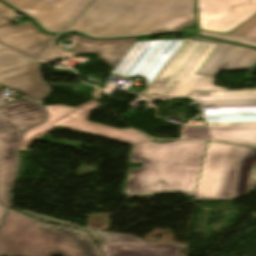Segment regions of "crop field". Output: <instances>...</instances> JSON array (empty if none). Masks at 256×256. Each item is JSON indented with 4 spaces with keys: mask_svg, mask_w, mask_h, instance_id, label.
<instances>
[{
    "mask_svg": "<svg viewBox=\"0 0 256 256\" xmlns=\"http://www.w3.org/2000/svg\"><path fill=\"white\" fill-rule=\"evenodd\" d=\"M206 142L179 140L157 144L147 140L134 145L131 162L143 166L130 171L127 194L183 192L193 196Z\"/></svg>",
    "mask_w": 256,
    "mask_h": 256,
    "instance_id": "crop-field-1",
    "label": "crop field"
},
{
    "mask_svg": "<svg viewBox=\"0 0 256 256\" xmlns=\"http://www.w3.org/2000/svg\"><path fill=\"white\" fill-rule=\"evenodd\" d=\"M146 20L194 22V0H96L69 29L89 34L127 32Z\"/></svg>",
    "mask_w": 256,
    "mask_h": 256,
    "instance_id": "crop-field-2",
    "label": "crop field"
},
{
    "mask_svg": "<svg viewBox=\"0 0 256 256\" xmlns=\"http://www.w3.org/2000/svg\"><path fill=\"white\" fill-rule=\"evenodd\" d=\"M192 98L207 126L186 128L184 137L256 146V89L197 92Z\"/></svg>",
    "mask_w": 256,
    "mask_h": 256,
    "instance_id": "crop-field-3",
    "label": "crop field"
},
{
    "mask_svg": "<svg viewBox=\"0 0 256 256\" xmlns=\"http://www.w3.org/2000/svg\"><path fill=\"white\" fill-rule=\"evenodd\" d=\"M255 188V148L208 143L193 200L238 199Z\"/></svg>",
    "mask_w": 256,
    "mask_h": 256,
    "instance_id": "crop-field-4",
    "label": "crop field"
},
{
    "mask_svg": "<svg viewBox=\"0 0 256 256\" xmlns=\"http://www.w3.org/2000/svg\"><path fill=\"white\" fill-rule=\"evenodd\" d=\"M214 46L186 41L143 97L155 100L189 96L194 91L227 90L214 86L216 78L195 74Z\"/></svg>",
    "mask_w": 256,
    "mask_h": 256,
    "instance_id": "crop-field-5",
    "label": "crop field"
},
{
    "mask_svg": "<svg viewBox=\"0 0 256 256\" xmlns=\"http://www.w3.org/2000/svg\"><path fill=\"white\" fill-rule=\"evenodd\" d=\"M38 222L11 210L0 235V256H86L68 237Z\"/></svg>",
    "mask_w": 256,
    "mask_h": 256,
    "instance_id": "crop-field-6",
    "label": "crop field"
},
{
    "mask_svg": "<svg viewBox=\"0 0 256 256\" xmlns=\"http://www.w3.org/2000/svg\"><path fill=\"white\" fill-rule=\"evenodd\" d=\"M184 40L154 39L135 41L111 72L121 77L140 76L149 86Z\"/></svg>",
    "mask_w": 256,
    "mask_h": 256,
    "instance_id": "crop-field-7",
    "label": "crop field"
},
{
    "mask_svg": "<svg viewBox=\"0 0 256 256\" xmlns=\"http://www.w3.org/2000/svg\"><path fill=\"white\" fill-rule=\"evenodd\" d=\"M0 83L33 101L47 92L38 79L37 62L5 46L0 47Z\"/></svg>",
    "mask_w": 256,
    "mask_h": 256,
    "instance_id": "crop-field-8",
    "label": "crop field"
},
{
    "mask_svg": "<svg viewBox=\"0 0 256 256\" xmlns=\"http://www.w3.org/2000/svg\"><path fill=\"white\" fill-rule=\"evenodd\" d=\"M200 29L228 33L256 14V0H198Z\"/></svg>",
    "mask_w": 256,
    "mask_h": 256,
    "instance_id": "crop-field-9",
    "label": "crop field"
},
{
    "mask_svg": "<svg viewBox=\"0 0 256 256\" xmlns=\"http://www.w3.org/2000/svg\"><path fill=\"white\" fill-rule=\"evenodd\" d=\"M29 9L48 29L62 30L91 0H3Z\"/></svg>",
    "mask_w": 256,
    "mask_h": 256,
    "instance_id": "crop-field-10",
    "label": "crop field"
},
{
    "mask_svg": "<svg viewBox=\"0 0 256 256\" xmlns=\"http://www.w3.org/2000/svg\"><path fill=\"white\" fill-rule=\"evenodd\" d=\"M256 62V49L219 41L198 74L217 77L220 71L250 69Z\"/></svg>",
    "mask_w": 256,
    "mask_h": 256,
    "instance_id": "crop-field-11",
    "label": "crop field"
},
{
    "mask_svg": "<svg viewBox=\"0 0 256 256\" xmlns=\"http://www.w3.org/2000/svg\"><path fill=\"white\" fill-rule=\"evenodd\" d=\"M107 244L100 247L105 256H178L181 243L150 244L133 236L97 232Z\"/></svg>",
    "mask_w": 256,
    "mask_h": 256,
    "instance_id": "crop-field-12",
    "label": "crop field"
},
{
    "mask_svg": "<svg viewBox=\"0 0 256 256\" xmlns=\"http://www.w3.org/2000/svg\"><path fill=\"white\" fill-rule=\"evenodd\" d=\"M46 123L130 143L136 144L141 141L147 140V138L140 132L133 129L119 130L95 123H91L85 120L49 112Z\"/></svg>",
    "mask_w": 256,
    "mask_h": 256,
    "instance_id": "crop-field-13",
    "label": "crop field"
},
{
    "mask_svg": "<svg viewBox=\"0 0 256 256\" xmlns=\"http://www.w3.org/2000/svg\"><path fill=\"white\" fill-rule=\"evenodd\" d=\"M44 118L40 105L22 97L0 108V131L30 127Z\"/></svg>",
    "mask_w": 256,
    "mask_h": 256,
    "instance_id": "crop-field-14",
    "label": "crop field"
},
{
    "mask_svg": "<svg viewBox=\"0 0 256 256\" xmlns=\"http://www.w3.org/2000/svg\"><path fill=\"white\" fill-rule=\"evenodd\" d=\"M22 131L0 132V202L8 206V190L16 166L15 151Z\"/></svg>",
    "mask_w": 256,
    "mask_h": 256,
    "instance_id": "crop-field-15",
    "label": "crop field"
},
{
    "mask_svg": "<svg viewBox=\"0 0 256 256\" xmlns=\"http://www.w3.org/2000/svg\"><path fill=\"white\" fill-rule=\"evenodd\" d=\"M55 36L38 33L33 36L8 44L9 46L40 59L50 40Z\"/></svg>",
    "mask_w": 256,
    "mask_h": 256,
    "instance_id": "crop-field-16",
    "label": "crop field"
},
{
    "mask_svg": "<svg viewBox=\"0 0 256 256\" xmlns=\"http://www.w3.org/2000/svg\"><path fill=\"white\" fill-rule=\"evenodd\" d=\"M39 226L58 232L68 237L70 240L76 243L87 256H98L90 251L94 248H97V246L88 235V233L43 222H39Z\"/></svg>",
    "mask_w": 256,
    "mask_h": 256,
    "instance_id": "crop-field-17",
    "label": "crop field"
},
{
    "mask_svg": "<svg viewBox=\"0 0 256 256\" xmlns=\"http://www.w3.org/2000/svg\"><path fill=\"white\" fill-rule=\"evenodd\" d=\"M38 33L28 22L13 26L9 23L0 25V41L8 44L13 41Z\"/></svg>",
    "mask_w": 256,
    "mask_h": 256,
    "instance_id": "crop-field-18",
    "label": "crop field"
},
{
    "mask_svg": "<svg viewBox=\"0 0 256 256\" xmlns=\"http://www.w3.org/2000/svg\"><path fill=\"white\" fill-rule=\"evenodd\" d=\"M132 44L133 42L119 44L113 41L104 46L103 52H100L98 57L114 69Z\"/></svg>",
    "mask_w": 256,
    "mask_h": 256,
    "instance_id": "crop-field-19",
    "label": "crop field"
},
{
    "mask_svg": "<svg viewBox=\"0 0 256 256\" xmlns=\"http://www.w3.org/2000/svg\"><path fill=\"white\" fill-rule=\"evenodd\" d=\"M161 29H171L172 32H179L181 27L179 25L177 26V25L173 24L170 21L165 24L146 21L135 32L97 34V35H89V36H92V37H115V36L134 35V34H150L154 30H161ZM78 31H80V30H78ZM80 32H82V31H80ZM82 33H84V32H82Z\"/></svg>",
    "mask_w": 256,
    "mask_h": 256,
    "instance_id": "crop-field-20",
    "label": "crop field"
},
{
    "mask_svg": "<svg viewBox=\"0 0 256 256\" xmlns=\"http://www.w3.org/2000/svg\"><path fill=\"white\" fill-rule=\"evenodd\" d=\"M101 106L96 101L92 100L84 105H81L77 108H69L63 105L57 106H45L46 110L86 119L88 118L89 111Z\"/></svg>",
    "mask_w": 256,
    "mask_h": 256,
    "instance_id": "crop-field-21",
    "label": "crop field"
},
{
    "mask_svg": "<svg viewBox=\"0 0 256 256\" xmlns=\"http://www.w3.org/2000/svg\"><path fill=\"white\" fill-rule=\"evenodd\" d=\"M134 40H137V38L122 39V40H115V41L119 43H123V42L134 41ZM110 41H96V40H90V39L81 37L73 55L82 54V53H98L99 51H102L103 45Z\"/></svg>",
    "mask_w": 256,
    "mask_h": 256,
    "instance_id": "crop-field-22",
    "label": "crop field"
},
{
    "mask_svg": "<svg viewBox=\"0 0 256 256\" xmlns=\"http://www.w3.org/2000/svg\"><path fill=\"white\" fill-rule=\"evenodd\" d=\"M56 127L57 126L43 123L33 129L28 130L23 137V141H22L20 150L27 149L29 143H31L33 140H35L39 136L45 134L46 132H48Z\"/></svg>",
    "mask_w": 256,
    "mask_h": 256,
    "instance_id": "crop-field-23",
    "label": "crop field"
},
{
    "mask_svg": "<svg viewBox=\"0 0 256 256\" xmlns=\"http://www.w3.org/2000/svg\"><path fill=\"white\" fill-rule=\"evenodd\" d=\"M230 35L256 38V15L228 33Z\"/></svg>",
    "mask_w": 256,
    "mask_h": 256,
    "instance_id": "crop-field-24",
    "label": "crop field"
},
{
    "mask_svg": "<svg viewBox=\"0 0 256 256\" xmlns=\"http://www.w3.org/2000/svg\"><path fill=\"white\" fill-rule=\"evenodd\" d=\"M199 34L225 40V41L236 42V43H241V44L256 47V39H252V38L236 37V36L224 35V34L207 32V31H200Z\"/></svg>",
    "mask_w": 256,
    "mask_h": 256,
    "instance_id": "crop-field-25",
    "label": "crop field"
},
{
    "mask_svg": "<svg viewBox=\"0 0 256 256\" xmlns=\"http://www.w3.org/2000/svg\"><path fill=\"white\" fill-rule=\"evenodd\" d=\"M24 213L26 214H29L33 217H36L40 220H44V221H49V222H54V223H58V224H62V225H66V226H70V227H74V228H78V229H82V230H86V231H89L91 233V235L95 238V240L99 243V245H103L105 243H107L104 239V237L98 235L97 233H95L94 231L90 230V229H86L84 227H81L79 225H76V224H72V223H66V222H60V221H55V220H51V219H47V218H43V217H40V216H37V215H34V214H31V213H28V212H25L23 211Z\"/></svg>",
    "mask_w": 256,
    "mask_h": 256,
    "instance_id": "crop-field-26",
    "label": "crop field"
},
{
    "mask_svg": "<svg viewBox=\"0 0 256 256\" xmlns=\"http://www.w3.org/2000/svg\"><path fill=\"white\" fill-rule=\"evenodd\" d=\"M60 51L58 45H51L46 57L45 61H55L61 59Z\"/></svg>",
    "mask_w": 256,
    "mask_h": 256,
    "instance_id": "crop-field-27",
    "label": "crop field"
},
{
    "mask_svg": "<svg viewBox=\"0 0 256 256\" xmlns=\"http://www.w3.org/2000/svg\"><path fill=\"white\" fill-rule=\"evenodd\" d=\"M18 17L17 14H14L2 7H0V24L6 23L7 20Z\"/></svg>",
    "mask_w": 256,
    "mask_h": 256,
    "instance_id": "crop-field-28",
    "label": "crop field"
},
{
    "mask_svg": "<svg viewBox=\"0 0 256 256\" xmlns=\"http://www.w3.org/2000/svg\"><path fill=\"white\" fill-rule=\"evenodd\" d=\"M19 11L25 13L26 15H28L30 18H32L36 23H38L42 28H44L47 32H51V33H57L59 31H54V30H47V28L29 11L26 9H19Z\"/></svg>",
    "mask_w": 256,
    "mask_h": 256,
    "instance_id": "crop-field-29",
    "label": "crop field"
},
{
    "mask_svg": "<svg viewBox=\"0 0 256 256\" xmlns=\"http://www.w3.org/2000/svg\"><path fill=\"white\" fill-rule=\"evenodd\" d=\"M5 209H6L5 207L0 205V222H1V219H2V216L4 214Z\"/></svg>",
    "mask_w": 256,
    "mask_h": 256,
    "instance_id": "crop-field-30",
    "label": "crop field"
},
{
    "mask_svg": "<svg viewBox=\"0 0 256 256\" xmlns=\"http://www.w3.org/2000/svg\"><path fill=\"white\" fill-rule=\"evenodd\" d=\"M197 38L200 39L201 41L217 43L216 40H210V39L199 38V37H197ZM218 42H219V41H218Z\"/></svg>",
    "mask_w": 256,
    "mask_h": 256,
    "instance_id": "crop-field-31",
    "label": "crop field"
},
{
    "mask_svg": "<svg viewBox=\"0 0 256 256\" xmlns=\"http://www.w3.org/2000/svg\"><path fill=\"white\" fill-rule=\"evenodd\" d=\"M184 32L197 34V30L185 29Z\"/></svg>",
    "mask_w": 256,
    "mask_h": 256,
    "instance_id": "crop-field-32",
    "label": "crop field"
},
{
    "mask_svg": "<svg viewBox=\"0 0 256 256\" xmlns=\"http://www.w3.org/2000/svg\"><path fill=\"white\" fill-rule=\"evenodd\" d=\"M0 6H2L4 8H6V9L16 13V11L12 10L11 8L7 7L6 5L2 4L1 2H0Z\"/></svg>",
    "mask_w": 256,
    "mask_h": 256,
    "instance_id": "crop-field-33",
    "label": "crop field"
},
{
    "mask_svg": "<svg viewBox=\"0 0 256 256\" xmlns=\"http://www.w3.org/2000/svg\"><path fill=\"white\" fill-rule=\"evenodd\" d=\"M93 252H95L96 254L100 255V256H103L99 250V248L95 249V250H92Z\"/></svg>",
    "mask_w": 256,
    "mask_h": 256,
    "instance_id": "crop-field-34",
    "label": "crop field"
},
{
    "mask_svg": "<svg viewBox=\"0 0 256 256\" xmlns=\"http://www.w3.org/2000/svg\"><path fill=\"white\" fill-rule=\"evenodd\" d=\"M3 86L2 85H0V90H1V88H2ZM5 104H7L6 102H4V101H2V100H0V107L1 106H3V105H5Z\"/></svg>",
    "mask_w": 256,
    "mask_h": 256,
    "instance_id": "crop-field-35",
    "label": "crop field"
},
{
    "mask_svg": "<svg viewBox=\"0 0 256 256\" xmlns=\"http://www.w3.org/2000/svg\"><path fill=\"white\" fill-rule=\"evenodd\" d=\"M191 37H193V36L192 35H181L180 38H191Z\"/></svg>",
    "mask_w": 256,
    "mask_h": 256,
    "instance_id": "crop-field-36",
    "label": "crop field"
},
{
    "mask_svg": "<svg viewBox=\"0 0 256 256\" xmlns=\"http://www.w3.org/2000/svg\"><path fill=\"white\" fill-rule=\"evenodd\" d=\"M62 52H63L64 56H70V53H71V52H67V51H62Z\"/></svg>",
    "mask_w": 256,
    "mask_h": 256,
    "instance_id": "crop-field-37",
    "label": "crop field"
},
{
    "mask_svg": "<svg viewBox=\"0 0 256 256\" xmlns=\"http://www.w3.org/2000/svg\"><path fill=\"white\" fill-rule=\"evenodd\" d=\"M171 32L170 30L154 31L153 33Z\"/></svg>",
    "mask_w": 256,
    "mask_h": 256,
    "instance_id": "crop-field-38",
    "label": "crop field"
},
{
    "mask_svg": "<svg viewBox=\"0 0 256 256\" xmlns=\"http://www.w3.org/2000/svg\"><path fill=\"white\" fill-rule=\"evenodd\" d=\"M186 24H188V23L185 21V22H183L182 24H180V26L182 27V26H184V25H186Z\"/></svg>",
    "mask_w": 256,
    "mask_h": 256,
    "instance_id": "crop-field-39",
    "label": "crop field"
},
{
    "mask_svg": "<svg viewBox=\"0 0 256 256\" xmlns=\"http://www.w3.org/2000/svg\"><path fill=\"white\" fill-rule=\"evenodd\" d=\"M29 23L32 25V26H34L37 30H38V28L31 22V21H29ZM43 33V32H42Z\"/></svg>",
    "mask_w": 256,
    "mask_h": 256,
    "instance_id": "crop-field-40",
    "label": "crop field"
},
{
    "mask_svg": "<svg viewBox=\"0 0 256 256\" xmlns=\"http://www.w3.org/2000/svg\"><path fill=\"white\" fill-rule=\"evenodd\" d=\"M0 46H2V45L0 44Z\"/></svg>",
    "mask_w": 256,
    "mask_h": 256,
    "instance_id": "crop-field-41",
    "label": "crop field"
}]
</instances>
